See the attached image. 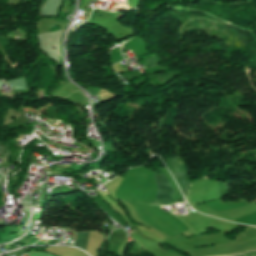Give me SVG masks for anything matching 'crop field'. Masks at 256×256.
<instances>
[{"mask_svg":"<svg viewBox=\"0 0 256 256\" xmlns=\"http://www.w3.org/2000/svg\"><path fill=\"white\" fill-rule=\"evenodd\" d=\"M154 176H155L158 194L152 203L166 206L172 197L173 190L165 174H161V175L154 174Z\"/></svg>","mask_w":256,"mask_h":256,"instance_id":"crop-field-1","label":"crop field"},{"mask_svg":"<svg viewBox=\"0 0 256 256\" xmlns=\"http://www.w3.org/2000/svg\"><path fill=\"white\" fill-rule=\"evenodd\" d=\"M88 232L76 233L75 246L86 250Z\"/></svg>","mask_w":256,"mask_h":256,"instance_id":"crop-field-2","label":"crop field"}]
</instances>
